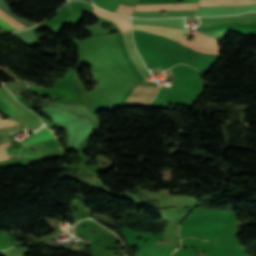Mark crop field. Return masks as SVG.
Wrapping results in <instances>:
<instances>
[{
  "label": "crop field",
  "mask_w": 256,
  "mask_h": 256,
  "mask_svg": "<svg viewBox=\"0 0 256 256\" xmlns=\"http://www.w3.org/2000/svg\"><path fill=\"white\" fill-rule=\"evenodd\" d=\"M30 138L31 139L29 141L23 142V145L53 139L54 136L49 132L48 129L43 128V129L37 131L36 134L30 136ZM10 145H12V144L9 142L4 143V144L0 145V150L8 147ZM24 147L30 148V149H35V150L39 149V150H41L40 152L42 153V155H44L48 152L58 149L59 144L56 141V139H53V140H49V141L26 145ZM26 148H16V149H11V150L4 149V150L0 151V160H6V159H8L14 155H18V154H20V156H22V157H27V158L41 156L40 152L33 153L29 149H26Z\"/></svg>",
  "instance_id": "8a807250"
},
{
  "label": "crop field",
  "mask_w": 256,
  "mask_h": 256,
  "mask_svg": "<svg viewBox=\"0 0 256 256\" xmlns=\"http://www.w3.org/2000/svg\"><path fill=\"white\" fill-rule=\"evenodd\" d=\"M139 51L151 69L160 67L162 71L172 67L162 51L156 35L134 30Z\"/></svg>",
  "instance_id": "ac0d7876"
},
{
  "label": "crop field",
  "mask_w": 256,
  "mask_h": 256,
  "mask_svg": "<svg viewBox=\"0 0 256 256\" xmlns=\"http://www.w3.org/2000/svg\"><path fill=\"white\" fill-rule=\"evenodd\" d=\"M132 22L168 25V26H175V27L185 29L183 18L165 19V20L132 19ZM132 27H133V29H136V30H142V31H147L150 33L162 35L167 38H171L177 42L180 41L183 37L189 35L188 31H185L186 29L179 30V29H175V28L137 25V24H132Z\"/></svg>",
  "instance_id": "34b2d1b8"
},
{
  "label": "crop field",
  "mask_w": 256,
  "mask_h": 256,
  "mask_svg": "<svg viewBox=\"0 0 256 256\" xmlns=\"http://www.w3.org/2000/svg\"><path fill=\"white\" fill-rule=\"evenodd\" d=\"M120 231L125 236L129 247L132 248L133 246H136L140 249L139 251H141L143 248H145L149 244L157 241L162 236V233H157L155 236H153L154 233L136 232L128 229L127 227L121 228ZM137 236H142L143 238L141 240H135L134 238H136ZM146 238H148L149 240L147 242H143V240H145Z\"/></svg>",
  "instance_id": "412701ff"
},
{
  "label": "crop field",
  "mask_w": 256,
  "mask_h": 256,
  "mask_svg": "<svg viewBox=\"0 0 256 256\" xmlns=\"http://www.w3.org/2000/svg\"><path fill=\"white\" fill-rule=\"evenodd\" d=\"M158 88L137 85L127 102L149 103L156 94ZM126 103L127 106H144L147 104Z\"/></svg>",
  "instance_id": "f4fd0767"
},
{
  "label": "crop field",
  "mask_w": 256,
  "mask_h": 256,
  "mask_svg": "<svg viewBox=\"0 0 256 256\" xmlns=\"http://www.w3.org/2000/svg\"><path fill=\"white\" fill-rule=\"evenodd\" d=\"M123 36H124L127 51L131 57V60L134 64L135 68L141 75L144 82H147L148 80L146 79V77L149 76V73L134 48L131 32L129 31V32L123 33Z\"/></svg>",
  "instance_id": "dd49c442"
},
{
  "label": "crop field",
  "mask_w": 256,
  "mask_h": 256,
  "mask_svg": "<svg viewBox=\"0 0 256 256\" xmlns=\"http://www.w3.org/2000/svg\"><path fill=\"white\" fill-rule=\"evenodd\" d=\"M197 3L136 5L134 10H185L196 9Z\"/></svg>",
  "instance_id": "e52e79f7"
},
{
  "label": "crop field",
  "mask_w": 256,
  "mask_h": 256,
  "mask_svg": "<svg viewBox=\"0 0 256 256\" xmlns=\"http://www.w3.org/2000/svg\"><path fill=\"white\" fill-rule=\"evenodd\" d=\"M249 3H256V0H200V4H214V6H231Z\"/></svg>",
  "instance_id": "d8731c3e"
},
{
  "label": "crop field",
  "mask_w": 256,
  "mask_h": 256,
  "mask_svg": "<svg viewBox=\"0 0 256 256\" xmlns=\"http://www.w3.org/2000/svg\"><path fill=\"white\" fill-rule=\"evenodd\" d=\"M0 18H2L3 20H5L6 22H8L9 24H11L12 26H14L17 29L20 28H25L20 22L14 20L12 17H10L8 14H6L5 12H3L2 10H0ZM2 19H0V24L2 26H4L5 28H7L8 30L12 31V30H16L14 27H12L11 25H9L8 23H6L5 21H3Z\"/></svg>",
  "instance_id": "5a996713"
},
{
  "label": "crop field",
  "mask_w": 256,
  "mask_h": 256,
  "mask_svg": "<svg viewBox=\"0 0 256 256\" xmlns=\"http://www.w3.org/2000/svg\"><path fill=\"white\" fill-rule=\"evenodd\" d=\"M138 2V0H125L123 1L124 4L135 6V4ZM121 4L120 7L117 9V14H123V15H132L133 8L132 6Z\"/></svg>",
  "instance_id": "3316defc"
},
{
  "label": "crop field",
  "mask_w": 256,
  "mask_h": 256,
  "mask_svg": "<svg viewBox=\"0 0 256 256\" xmlns=\"http://www.w3.org/2000/svg\"><path fill=\"white\" fill-rule=\"evenodd\" d=\"M1 117V116H0ZM0 120H3V119H0ZM3 136H0V139L2 138Z\"/></svg>",
  "instance_id": "28ad6ade"
}]
</instances>
